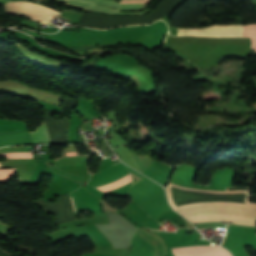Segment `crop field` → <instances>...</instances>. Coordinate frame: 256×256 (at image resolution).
<instances>
[{"label":"crop field","instance_id":"1","mask_svg":"<svg viewBox=\"0 0 256 256\" xmlns=\"http://www.w3.org/2000/svg\"><path fill=\"white\" fill-rule=\"evenodd\" d=\"M190 222L225 221L255 225L256 207L233 204H200L176 209Z\"/></svg>","mask_w":256,"mask_h":256},{"label":"crop field","instance_id":"2","mask_svg":"<svg viewBox=\"0 0 256 256\" xmlns=\"http://www.w3.org/2000/svg\"><path fill=\"white\" fill-rule=\"evenodd\" d=\"M58 2L66 3V6L84 10V11H95L108 15H122V14H143L150 10L146 9L140 12H120V10L135 11L145 8V3H117L108 0H53ZM152 0H122L121 2H150ZM108 5L118 7L117 9L99 6Z\"/></svg>","mask_w":256,"mask_h":256},{"label":"crop field","instance_id":"3","mask_svg":"<svg viewBox=\"0 0 256 256\" xmlns=\"http://www.w3.org/2000/svg\"><path fill=\"white\" fill-rule=\"evenodd\" d=\"M5 9L6 13L27 16L46 24H50V17L61 14L56 10L28 2H8L5 5Z\"/></svg>","mask_w":256,"mask_h":256},{"label":"crop field","instance_id":"4","mask_svg":"<svg viewBox=\"0 0 256 256\" xmlns=\"http://www.w3.org/2000/svg\"><path fill=\"white\" fill-rule=\"evenodd\" d=\"M241 25H216L204 29H178L177 35H198V36H240L242 35Z\"/></svg>","mask_w":256,"mask_h":256},{"label":"crop field","instance_id":"5","mask_svg":"<svg viewBox=\"0 0 256 256\" xmlns=\"http://www.w3.org/2000/svg\"><path fill=\"white\" fill-rule=\"evenodd\" d=\"M174 256H231L224 248L217 245H202L172 249Z\"/></svg>","mask_w":256,"mask_h":256},{"label":"crop field","instance_id":"6","mask_svg":"<svg viewBox=\"0 0 256 256\" xmlns=\"http://www.w3.org/2000/svg\"><path fill=\"white\" fill-rule=\"evenodd\" d=\"M34 143H51L47 135L45 124L37 127L35 131L31 132Z\"/></svg>","mask_w":256,"mask_h":256},{"label":"crop field","instance_id":"7","mask_svg":"<svg viewBox=\"0 0 256 256\" xmlns=\"http://www.w3.org/2000/svg\"><path fill=\"white\" fill-rule=\"evenodd\" d=\"M132 181L131 180V176L130 174L110 183V184H107V185H103V186H100V187H97L99 190L103 191V192H106V191H110V190H114L116 188H119L125 184H127L128 182Z\"/></svg>","mask_w":256,"mask_h":256},{"label":"crop field","instance_id":"8","mask_svg":"<svg viewBox=\"0 0 256 256\" xmlns=\"http://www.w3.org/2000/svg\"><path fill=\"white\" fill-rule=\"evenodd\" d=\"M0 156H5L6 159L32 158V152L2 153Z\"/></svg>","mask_w":256,"mask_h":256},{"label":"crop field","instance_id":"9","mask_svg":"<svg viewBox=\"0 0 256 256\" xmlns=\"http://www.w3.org/2000/svg\"><path fill=\"white\" fill-rule=\"evenodd\" d=\"M242 36H244V37H256V24L244 25Z\"/></svg>","mask_w":256,"mask_h":256},{"label":"crop field","instance_id":"10","mask_svg":"<svg viewBox=\"0 0 256 256\" xmlns=\"http://www.w3.org/2000/svg\"><path fill=\"white\" fill-rule=\"evenodd\" d=\"M251 45H256V39L251 38Z\"/></svg>","mask_w":256,"mask_h":256},{"label":"crop field","instance_id":"11","mask_svg":"<svg viewBox=\"0 0 256 256\" xmlns=\"http://www.w3.org/2000/svg\"><path fill=\"white\" fill-rule=\"evenodd\" d=\"M1 167V166H0Z\"/></svg>","mask_w":256,"mask_h":256},{"label":"crop field","instance_id":"12","mask_svg":"<svg viewBox=\"0 0 256 256\" xmlns=\"http://www.w3.org/2000/svg\"><path fill=\"white\" fill-rule=\"evenodd\" d=\"M73 205V204H72Z\"/></svg>","mask_w":256,"mask_h":256}]
</instances>
